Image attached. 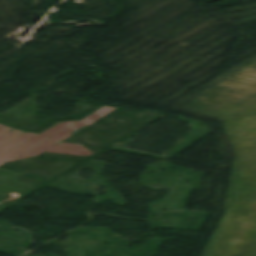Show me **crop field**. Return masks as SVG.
<instances>
[{
  "instance_id": "8a807250",
  "label": "crop field",
  "mask_w": 256,
  "mask_h": 256,
  "mask_svg": "<svg viewBox=\"0 0 256 256\" xmlns=\"http://www.w3.org/2000/svg\"><path fill=\"white\" fill-rule=\"evenodd\" d=\"M114 109L104 106L80 121L60 122L40 134L24 133L0 124V165L34 157L44 151L87 156L91 152L84 146L60 141Z\"/></svg>"
}]
</instances>
